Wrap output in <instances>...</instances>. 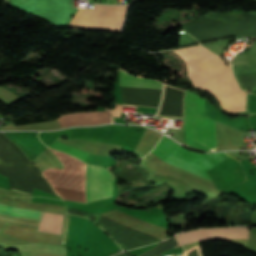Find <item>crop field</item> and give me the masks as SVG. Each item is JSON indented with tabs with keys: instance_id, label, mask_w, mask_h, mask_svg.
Listing matches in <instances>:
<instances>
[{
	"instance_id": "obj_17",
	"label": "crop field",
	"mask_w": 256,
	"mask_h": 256,
	"mask_svg": "<svg viewBox=\"0 0 256 256\" xmlns=\"http://www.w3.org/2000/svg\"><path fill=\"white\" fill-rule=\"evenodd\" d=\"M68 214H66V221H65V231H64V238L62 244L65 246L66 243V234H67V223H68Z\"/></svg>"
},
{
	"instance_id": "obj_1",
	"label": "crop field",
	"mask_w": 256,
	"mask_h": 256,
	"mask_svg": "<svg viewBox=\"0 0 256 256\" xmlns=\"http://www.w3.org/2000/svg\"><path fill=\"white\" fill-rule=\"evenodd\" d=\"M187 64L194 87L210 93L223 110L245 111L246 94L240 91L230 67L200 45L174 50Z\"/></svg>"
},
{
	"instance_id": "obj_10",
	"label": "crop field",
	"mask_w": 256,
	"mask_h": 256,
	"mask_svg": "<svg viewBox=\"0 0 256 256\" xmlns=\"http://www.w3.org/2000/svg\"><path fill=\"white\" fill-rule=\"evenodd\" d=\"M7 250H17L21 256H29L31 254L42 252H55L65 254V249L60 246L44 244V243H23L3 246Z\"/></svg>"
},
{
	"instance_id": "obj_3",
	"label": "crop field",
	"mask_w": 256,
	"mask_h": 256,
	"mask_svg": "<svg viewBox=\"0 0 256 256\" xmlns=\"http://www.w3.org/2000/svg\"><path fill=\"white\" fill-rule=\"evenodd\" d=\"M183 143L204 151H217L214 120L204 115V98L186 90Z\"/></svg>"
},
{
	"instance_id": "obj_12",
	"label": "crop field",
	"mask_w": 256,
	"mask_h": 256,
	"mask_svg": "<svg viewBox=\"0 0 256 256\" xmlns=\"http://www.w3.org/2000/svg\"><path fill=\"white\" fill-rule=\"evenodd\" d=\"M42 213L43 212H40V211L20 209V208H16L13 206L0 203V214H4L8 216L39 221Z\"/></svg>"
},
{
	"instance_id": "obj_11",
	"label": "crop field",
	"mask_w": 256,
	"mask_h": 256,
	"mask_svg": "<svg viewBox=\"0 0 256 256\" xmlns=\"http://www.w3.org/2000/svg\"><path fill=\"white\" fill-rule=\"evenodd\" d=\"M64 217L65 215L44 212L38 230L63 235Z\"/></svg>"
},
{
	"instance_id": "obj_2",
	"label": "crop field",
	"mask_w": 256,
	"mask_h": 256,
	"mask_svg": "<svg viewBox=\"0 0 256 256\" xmlns=\"http://www.w3.org/2000/svg\"><path fill=\"white\" fill-rule=\"evenodd\" d=\"M185 32L199 42L228 36L256 37V16L240 13H209L194 22H181Z\"/></svg>"
},
{
	"instance_id": "obj_8",
	"label": "crop field",
	"mask_w": 256,
	"mask_h": 256,
	"mask_svg": "<svg viewBox=\"0 0 256 256\" xmlns=\"http://www.w3.org/2000/svg\"><path fill=\"white\" fill-rule=\"evenodd\" d=\"M61 127L70 125H90L100 123H110V115L106 111L71 113L60 116L58 119Z\"/></svg>"
},
{
	"instance_id": "obj_14",
	"label": "crop field",
	"mask_w": 256,
	"mask_h": 256,
	"mask_svg": "<svg viewBox=\"0 0 256 256\" xmlns=\"http://www.w3.org/2000/svg\"><path fill=\"white\" fill-rule=\"evenodd\" d=\"M180 145L174 142L172 139L162 136L158 144L151 151L156 154L161 159H164L167 155L172 153L175 149H177Z\"/></svg>"
},
{
	"instance_id": "obj_13",
	"label": "crop field",
	"mask_w": 256,
	"mask_h": 256,
	"mask_svg": "<svg viewBox=\"0 0 256 256\" xmlns=\"http://www.w3.org/2000/svg\"><path fill=\"white\" fill-rule=\"evenodd\" d=\"M120 75H121L120 85L156 88V89L162 88V83H160L156 80H149V79H142V78L134 77L130 74H127V73L121 72V71H120Z\"/></svg>"
},
{
	"instance_id": "obj_4",
	"label": "crop field",
	"mask_w": 256,
	"mask_h": 256,
	"mask_svg": "<svg viewBox=\"0 0 256 256\" xmlns=\"http://www.w3.org/2000/svg\"><path fill=\"white\" fill-rule=\"evenodd\" d=\"M126 7L95 5V9L79 8L68 27L119 32Z\"/></svg>"
},
{
	"instance_id": "obj_6",
	"label": "crop field",
	"mask_w": 256,
	"mask_h": 256,
	"mask_svg": "<svg viewBox=\"0 0 256 256\" xmlns=\"http://www.w3.org/2000/svg\"><path fill=\"white\" fill-rule=\"evenodd\" d=\"M99 215L124 227L161 240L166 239L167 229L128 215L116 208Z\"/></svg>"
},
{
	"instance_id": "obj_5",
	"label": "crop field",
	"mask_w": 256,
	"mask_h": 256,
	"mask_svg": "<svg viewBox=\"0 0 256 256\" xmlns=\"http://www.w3.org/2000/svg\"><path fill=\"white\" fill-rule=\"evenodd\" d=\"M114 176L102 167L87 164L86 168V200L93 202L112 196Z\"/></svg>"
},
{
	"instance_id": "obj_9",
	"label": "crop field",
	"mask_w": 256,
	"mask_h": 256,
	"mask_svg": "<svg viewBox=\"0 0 256 256\" xmlns=\"http://www.w3.org/2000/svg\"><path fill=\"white\" fill-rule=\"evenodd\" d=\"M172 154H175L177 156L199 163L201 165L207 166L209 168L231 158L223 152L199 153V152H193V151L187 150L181 146L177 150H175Z\"/></svg>"
},
{
	"instance_id": "obj_15",
	"label": "crop field",
	"mask_w": 256,
	"mask_h": 256,
	"mask_svg": "<svg viewBox=\"0 0 256 256\" xmlns=\"http://www.w3.org/2000/svg\"><path fill=\"white\" fill-rule=\"evenodd\" d=\"M165 161L173 163V164L178 165L180 167L186 168L188 170H191V171H194V172L199 173L201 175L209 177L208 174L205 171L209 168H206L204 166H201V165H198L196 163L190 162L188 160L182 159L180 157L174 156L172 154L169 155L167 158H165Z\"/></svg>"
},
{
	"instance_id": "obj_18",
	"label": "crop field",
	"mask_w": 256,
	"mask_h": 256,
	"mask_svg": "<svg viewBox=\"0 0 256 256\" xmlns=\"http://www.w3.org/2000/svg\"><path fill=\"white\" fill-rule=\"evenodd\" d=\"M253 93H256V90H251Z\"/></svg>"
},
{
	"instance_id": "obj_7",
	"label": "crop field",
	"mask_w": 256,
	"mask_h": 256,
	"mask_svg": "<svg viewBox=\"0 0 256 256\" xmlns=\"http://www.w3.org/2000/svg\"><path fill=\"white\" fill-rule=\"evenodd\" d=\"M181 245L216 238H248V227L198 229L177 235Z\"/></svg>"
},
{
	"instance_id": "obj_16",
	"label": "crop field",
	"mask_w": 256,
	"mask_h": 256,
	"mask_svg": "<svg viewBox=\"0 0 256 256\" xmlns=\"http://www.w3.org/2000/svg\"><path fill=\"white\" fill-rule=\"evenodd\" d=\"M50 147L55 148L57 150L67 152V153L81 159L84 162L87 159V157L89 156V153H87V152L75 149L73 147L67 146V145L59 143L57 141H55L53 144H51Z\"/></svg>"
}]
</instances>
